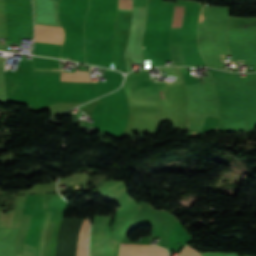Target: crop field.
Instances as JSON below:
<instances>
[{
  "label": "crop field",
  "mask_w": 256,
  "mask_h": 256,
  "mask_svg": "<svg viewBox=\"0 0 256 256\" xmlns=\"http://www.w3.org/2000/svg\"><path fill=\"white\" fill-rule=\"evenodd\" d=\"M88 230H89V223H88V220L86 219L79 236V248H78L77 256H86L87 254Z\"/></svg>",
  "instance_id": "obj_4"
},
{
  "label": "crop field",
  "mask_w": 256,
  "mask_h": 256,
  "mask_svg": "<svg viewBox=\"0 0 256 256\" xmlns=\"http://www.w3.org/2000/svg\"><path fill=\"white\" fill-rule=\"evenodd\" d=\"M175 9H176V7H175ZM183 9H184V7H177V9H176V14H175V12H174V14H175V20H174V18H173V20H174V25H173V22H172L173 27L180 28V26H181V20H182V15H183ZM171 27H172V26H171Z\"/></svg>",
  "instance_id": "obj_9"
},
{
  "label": "crop field",
  "mask_w": 256,
  "mask_h": 256,
  "mask_svg": "<svg viewBox=\"0 0 256 256\" xmlns=\"http://www.w3.org/2000/svg\"><path fill=\"white\" fill-rule=\"evenodd\" d=\"M178 256H200V254L186 245Z\"/></svg>",
  "instance_id": "obj_10"
},
{
  "label": "crop field",
  "mask_w": 256,
  "mask_h": 256,
  "mask_svg": "<svg viewBox=\"0 0 256 256\" xmlns=\"http://www.w3.org/2000/svg\"><path fill=\"white\" fill-rule=\"evenodd\" d=\"M130 0H119V8L129 9ZM132 5V0L130 4V9Z\"/></svg>",
  "instance_id": "obj_11"
},
{
  "label": "crop field",
  "mask_w": 256,
  "mask_h": 256,
  "mask_svg": "<svg viewBox=\"0 0 256 256\" xmlns=\"http://www.w3.org/2000/svg\"><path fill=\"white\" fill-rule=\"evenodd\" d=\"M119 241L107 236V217L95 216L91 228L89 256H115Z\"/></svg>",
  "instance_id": "obj_1"
},
{
  "label": "crop field",
  "mask_w": 256,
  "mask_h": 256,
  "mask_svg": "<svg viewBox=\"0 0 256 256\" xmlns=\"http://www.w3.org/2000/svg\"><path fill=\"white\" fill-rule=\"evenodd\" d=\"M76 74H84V75H88L87 73H82V72H76Z\"/></svg>",
  "instance_id": "obj_14"
},
{
  "label": "crop field",
  "mask_w": 256,
  "mask_h": 256,
  "mask_svg": "<svg viewBox=\"0 0 256 256\" xmlns=\"http://www.w3.org/2000/svg\"><path fill=\"white\" fill-rule=\"evenodd\" d=\"M119 256H167V252L163 248L152 245L121 244Z\"/></svg>",
  "instance_id": "obj_2"
},
{
  "label": "crop field",
  "mask_w": 256,
  "mask_h": 256,
  "mask_svg": "<svg viewBox=\"0 0 256 256\" xmlns=\"http://www.w3.org/2000/svg\"><path fill=\"white\" fill-rule=\"evenodd\" d=\"M15 254L16 256H34L35 251L25 247L23 254H18V253H15Z\"/></svg>",
  "instance_id": "obj_12"
},
{
  "label": "crop field",
  "mask_w": 256,
  "mask_h": 256,
  "mask_svg": "<svg viewBox=\"0 0 256 256\" xmlns=\"http://www.w3.org/2000/svg\"><path fill=\"white\" fill-rule=\"evenodd\" d=\"M192 121L199 124L209 125L215 127L218 119H214L208 115L190 113Z\"/></svg>",
  "instance_id": "obj_5"
},
{
  "label": "crop field",
  "mask_w": 256,
  "mask_h": 256,
  "mask_svg": "<svg viewBox=\"0 0 256 256\" xmlns=\"http://www.w3.org/2000/svg\"><path fill=\"white\" fill-rule=\"evenodd\" d=\"M226 253L214 252V253H201L202 256H225Z\"/></svg>",
  "instance_id": "obj_13"
},
{
  "label": "crop field",
  "mask_w": 256,
  "mask_h": 256,
  "mask_svg": "<svg viewBox=\"0 0 256 256\" xmlns=\"http://www.w3.org/2000/svg\"><path fill=\"white\" fill-rule=\"evenodd\" d=\"M35 36L63 40L62 27L35 25ZM35 37V41L61 45L62 41Z\"/></svg>",
  "instance_id": "obj_3"
},
{
  "label": "crop field",
  "mask_w": 256,
  "mask_h": 256,
  "mask_svg": "<svg viewBox=\"0 0 256 256\" xmlns=\"http://www.w3.org/2000/svg\"><path fill=\"white\" fill-rule=\"evenodd\" d=\"M87 182L84 175L59 180V184H76Z\"/></svg>",
  "instance_id": "obj_8"
},
{
  "label": "crop field",
  "mask_w": 256,
  "mask_h": 256,
  "mask_svg": "<svg viewBox=\"0 0 256 256\" xmlns=\"http://www.w3.org/2000/svg\"><path fill=\"white\" fill-rule=\"evenodd\" d=\"M60 80L90 82L88 76L62 74Z\"/></svg>",
  "instance_id": "obj_7"
},
{
  "label": "crop field",
  "mask_w": 256,
  "mask_h": 256,
  "mask_svg": "<svg viewBox=\"0 0 256 256\" xmlns=\"http://www.w3.org/2000/svg\"><path fill=\"white\" fill-rule=\"evenodd\" d=\"M171 48H172V58L175 65H187L181 44L173 45L171 46Z\"/></svg>",
  "instance_id": "obj_6"
}]
</instances>
